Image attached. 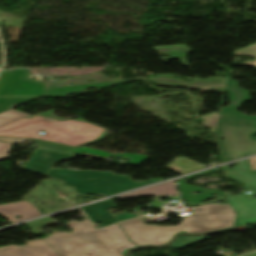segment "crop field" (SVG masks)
I'll return each mask as SVG.
<instances>
[{
	"mask_svg": "<svg viewBox=\"0 0 256 256\" xmlns=\"http://www.w3.org/2000/svg\"><path fill=\"white\" fill-rule=\"evenodd\" d=\"M48 176L62 180L66 186H73L74 191L79 194H104L106 197L159 182L134 183L129 176H116L111 172L93 171L51 169Z\"/></svg>",
	"mask_w": 256,
	"mask_h": 256,
	"instance_id": "dd49c442",
	"label": "crop field"
},
{
	"mask_svg": "<svg viewBox=\"0 0 256 256\" xmlns=\"http://www.w3.org/2000/svg\"><path fill=\"white\" fill-rule=\"evenodd\" d=\"M27 116L30 115L23 114L15 110H7L3 113H0V127L15 120L25 118Z\"/></svg>",
	"mask_w": 256,
	"mask_h": 256,
	"instance_id": "bc2a9ffb",
	"label": "crop field"
},
{
	"mask_svg": "<svg viewBox=\"0 0 256 256\" xmlns=\"http://www.w3.org/2000/svg\"><path fill=\"white\" fill-rule=\"evenodd\" d=\"M249 164L252 169V171H255L256 169V157L249 158Z\"/></svg>",
	"mask_w": 256,
	"mask_h": 256,
	"instance_id": "eef30255",
	"label": "crop field"
},
{
	"mask_svg": "<svg viewBox=\"0 0 256 256\" xmlns=\"http://www.w3.org/2000/svg\"><path fill=\"white\" fill-rule=\"evenodd\" d=\"M71 234L58 232L43 239L60 256H122L124 250L136 247L116 225L96 231L90 221L69 222Z\"/></svg>",
	"mask_w": 256,
	"mask_h": 256,
	"instance_id": "ac0d7876",
	"label": "crop field"
},
{
	"mask_svg": "<svg viewBox=\"0 0 256 256\" xmlns=\"http://www.w3.org/2000/svg\"><path fill=\"white\" fill-rule=\"evenodd\" d=\"M12 145L0 142V159L5 158Z\"/></svg>",
	"mask_w": 256,
	"mask_h": 256,
	"instance_id": "4177f3b9",
	"label": "crop field"
},
{
	"mask_svg": "<svg viewBox=\"0 0 256 256\" xmlns=\"http://www.w3.org/2000/svg\"><path fill=\"white\" fill-rule=\"evenodd\" d=\"M160 55H167L170 58H160L167 63L169 59H178L183 66H189L186 60L187 54L192 52L185 44L153 47Z\"/></svg>",
	"mask_w": 256,
	"mask_h": 256,
	"instance_id": "5142ce71",
	"label": "crop field"
},
{
	"mask_svg": "<svg viewBox=\"0 0 256 256\" xmlns=\"http://www.w3.org/2000/svg\"><path fill=\"white\" fill-rule=\"evenodd\" d=\"M69 157L73 156L36 148L24 169L47 175L56 162Z\"/></svg>",
	"mask_w": 256,
	"mask_h": 256,
	"instance_id": "d8731c3e",
	"label": "crop field"
},
{
	"mask_svg": "<svg viewBox=\"0 0 256 256\" xmlns=\"http://www.w3.org/2000/svg\"><path fill=\"white\" fill-rule=\"evenodd\" d=\"M166 167L181 175H184L202 168H206L184 157H177L174 161H172Z\"/></svg>",
	"mask_w": 256,
	"mask_h": 256,
	"instance_id": "733c2abd",
	"label": "crop field"
},
{
	"mask_svg": "<svg viewBox=\"0 0 256 256\" xmlns=\"http://www.w3.org/2000/svg\"><path fill=\"white\" fill-rule=\"evenodd\" d=\"M219 113L220 112H218V114L212 113V114L200 117V119L204 120L202 122L203 127L210 128V132L211 133H215V129H216Z\"/></svg>",
	"mask_w": 256,
	"mask_h": 256,
	"instance_id": "92a150f3",
	"label": "crop field"
},
{
	"mask_svg": "<svg viewBox=\"0 0 256 256\" xmlns=\"http://www.w3.org/2000/svg\"><path fill=\"white\" fill-rule=\"evenodd\" d=\"M34 99H13V98H0V112L7 110V107L11 105V103H25L30 102Z\"/></svg>",
	"mask_w": 256,
	"mask_h": 256,
	"instance_id": "00972430",
	"label": "crop field"
},
{
	"mask_svg": "<svg viewBox=\"0 0 256 256\" xmlns=\"http://www.w3.org/2000/svg\"><path fill=\"white\" fill-rule=\"evenodd\" d=\"M132 217H137V216H136V215L116 216V218H117L119 221L126 220V219H129V218H132Z\"/></svg>",
	"mask_w": 256,
	"mask_h": 256,
	"instance_id": "ae1a2a85",
	"label": "crop field"
},
{
	"mask_svg": "<svg viewBox=\"0 0 256 256\" xmlns=\"http://www.w3.org/2000/svg\"><path fill=\"white\" fill-rule=\"evenodd\" d=\"M225 91L229 92L231 107H238L245 101L251 100L249 91L239 88L238 82L228 80Z\"/></svg>",
	"mask_w": 256,
	"mask_h": 256,
	"instance_id": "d9b57169",
	"label": "crop field"
},
{
	"mask_svg": "<svg viewBox=\"0 0 256 256\" xmlns=\"http://www.w3.org/2000/svg\"><path fill=\"white\" fill-rule=\"evenodd\" d=\"M0 214L8 218L12 223L42 215L35 206L27 201L0 206ZM15 215H21L22 218L16 219Z\"/></svg>",
	"mask_w": 256,
	"mask_h": 256,
	"instance_id": "28ad6ade",
	"label": "crop field"
},
{
	"mask_svg": "<svg viewBox=\"0 0 256 256\" xmlns=\"http://www.w3.org/2000/svg\"><path fill=\"white\" fill-rule=\"evenodd\" d=\"M36 147L39 148H44V149H49V150H55V151H60V152H65L74 148L63 146V145H58V144H52V143H46L42 141L35 140Z\"/></svg>",
	"mask_w": 256,
	"mask_h": 256,
	"instance_id": "dafd665d",
	"label": "crop field"
},
{
	"mask_svg": "<svg viewBox=\"0 0 256 256\" xmlns=\"http://www.w3.org/2000/svg\"><path fill=\"white\" fill-rule=\"evenodd\" d=\"M69 153H81V152H86V153H90V154H94V155H98V156H103V157H107L109 155H113V154H109L103 151H98V150H94V149H89V148H84V147H80L71 151H68ZM115 156H123V157H129V158H133L130 162H128V164H132V165H137L141 162H143L145 159L148 158V156H144V155H137V154H127V155H121V154H117Z\"/></svg>",
	"mask_w": 256,
	"mask_h": 256,
	"instance_id": "4a817a6b",
	"label": "crop field"
},
{
	"mask_svg": "<svg viewBox=\"0 0 256 256\" xmlns=\"http://www.w3.org/2000/svg\"><path fill=\"white\" fill-rule=\"evenodd\" d=\"M0 140L12 142V143H23L25 140H33V139H21V138H5V137H0Z\"/></svg>",
	"mask_w": 256,
	"mask_h": 256,
	"instance_id": "730fd06b",
	"label": "crop field"
},
{
	"mask_svg": "<svg viewBox=\"0 0 256 256\" xmlns=\"http://www.w3.org/2000/svg\"><path fill=\"white\" fill-rule=\"evenodd\" d=\"M235 55H249V56H254L255 59L252 61H248L245 63L241 64H246V65H251V66H256V43L253 45H250L248 47L238 49L234 51Z\"/></svg>",
	"mask_w": 256,
	"mask_h": 256,
	"instance_id": "214f88e0",
	"label": "crop field"
},
{
	"mask_svg": "<svg viewBox=\"0 0 256 256\" xmlns=\"http://www.w3.org/2000/svg\"><path fill=\"white\" fill-rule=\"evenodd\" d=\"M177 182L180 188L182 198L185 199L189 205L211 199L213 198L212 195L216 193V191L185 184V178L178 180ZM190 191H198L201 193L198 196H196L194 194L189 193Z\"/></svg>",
	"mask_w": 256,
	"mask_h": 256,
	"instance_id": "22f410ed",
	"label": "crop field"
},
{
	"mask_svg": "<svg viewBox=\"0 0 256 256\" xmlns=\"http://www.w3.org/2000/svg\"><path fill=\"white\" fill-rule=\"evenodd\" d=\"M230 178L256 188V174L251 172L248 160L239 162L233 170L228 171ZM238 212V225L256 222V199L248 200L243 195L227 197Z\"/></svg>",
	"mask_w": 256,
	"mask_h": 256,
	"instance_id": "e52e79f7",
	"label": "crop field"
},
{
	"mask_svg": "<svg viewBox=\"0 0 256 256\" xmlns=\"http://www.w3.org/2000/svg\"><path fill=\"white\" fill-rule=\"evenodd\" d=\"M54 111L5 125L0 128V136L38 138L74 147L97 142L107 136L106 130L102 127L79 120H60L52 116ZM40 129L45 130L46 134L39 136Z\"/></svg>",
	"mask_w": 256,
	"mask_h": 256,
	"instance_id": "34b2d1b8",
	"label": "crop field"
},
{
	"mask_svg": "<svg viewBox=\"0 0 256 256\" xmlns=\"http://www.w3.org/2000/svg\"><path fill=\"white\" fill-rule=\"evenodd\" d=\"M235 216L229 204H208L194 208L192 216L185 217L178 226H148L143 224L141 218L120 222L118 225L128 239L138 246L163 245L180 231L202 233L232 228Z\"/></svg>",
	"mask_w": 256,
	"mask_h": 256,
	"instance_id": "8a807250",
	"label": "crop field"
},
{
	"mask_svg": "<svg viewBox=\"0 0 256 256\" xmlns=\"http://www.w3.org/2000/svg\"><path fill=\"white\" fill-rule=\"evenodd\" d=\"M148 78L155 85H159V86L182 87V88H189V89L202 90V91H206L212 87L225 88L226 82H227V78H222V77H214L206 80L194 78L192 83H184L176 79L154 78V77H148Z\"/></svg>",
	"mask_w": 256,
	"mask_h": 256,
	"instance_id": "5a996713",
	"label": "crop field"
},
{
	"mask_svg": "<svg viewBox=\"0 0 256 256\" xmlns=\"http://www.w3.org/2000/svg\"><path fill=\"white\" fill-rule=\"evenodd\" d=\"M28 70L4 71L0 75V97L37 98L65 97L68 93H79L87 87H108L124 81H114L103 77L102 73L69 79L58 83H41L26 79ZM140 79V78H138ZM95 80L93 84L82 83ZM137 80V79H131ZM129 81V80H125ZM74 82L75 85H64Z\"/></svg>",
	"mask_w": 256,
	"mask_h": 256,
	"instance_id": "412701ff",
	"label": "crop field"
},
{
	"mask_svg": "<svg viewBox=\"0 0 256 256\" xmlns=\"http://www.w3.org/2000/svg\"><path fill=\"white\" fill-rule=\"evenodd\" d=\"M216 132L219 139H225L219 143L224 163L256 153V137H253L256 134V116L247 117L235 108H224ZM226 154L230 157L225 158Z\"/></svg>",
	"mask_w": 256,
	"mask_h": 256,
	"instance_id": "f4fd0767",
	"label": "crop field"
},
{
	"mask_svg": "<svg viewBox=\"0 0 256 256\" xmlns=\"http://www.w3.org/2000/svg\"><path fill=\"white\" fill-rule=\"evenodd\" d=\"M161 195H170L177 196V189L174 181L157 185L154 187L146 188L136 192L128 193L125 195L117 196L115 198H124V197H136V196H161Z\"/></svg>",
	"mask_w": 256,
	"mask_h": 256,
	"instance_id": "cbeb9de0",
	"label": "crop field"
},
{
	"mask_svg": "<svg viewBox=\"0 0 256 256\" xmlns=\"http://www.w3.org/2000/svg\"><path fill=\"white\" fill-rule=\"evenodd\" d=\"M28 245L0 248V256H59L43 240L27 241Z\"/></svg>",
	"mask_w": 256,
	"mask_h": 256,
	"instance_id": "3316defc",
	"label": "crop field"
},
{
	"mask_svg": "<svg viewBox=\"0 0 256 256\" xmlns=\"http://www.w3.org/2000/svg\"><path fill=\"white\" fill-rule=\"evenodd\" d=\"M37 223H46V224H56L58 223L57 220H54L50 217L47 218H43V219H39V220H35V221H31V222H27L25 223L30 230L34 233V234H39L42 233V231L38 230L33 224H37Z\"/></svg>",
	"mask_w": 256,
	"mask_h": 256,
	"instance_id": "a9b5d70f",
	"label": "crop field"
},
{
	"mask_svg": "<svg viewBox=\"0 0 256 256\" xmlns=\"http://www.w3.org/2000/svg\"><path fill=\"white\" fill-rule=\"evenodd\" d=\"M114 208L111 199L82 207L86 214L93 220L94 223H100L103 226L117 222L118 220L111 215L107 210Z\"/></svg>",
	"mask_w": 256,
	"mask_h": 256,
	"instance_id": "d1516ede",
	"label": "crop field"
}]
</instances>
